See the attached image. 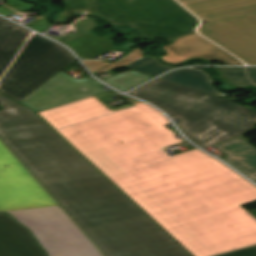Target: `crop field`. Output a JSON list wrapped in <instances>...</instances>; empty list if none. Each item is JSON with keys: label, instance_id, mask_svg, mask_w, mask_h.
I'll return each instance as SVG.
<instances>
[{"label": "crop field", "instance_id": "obj_20", "mask_svg": "<svg viewBox=\"0 0 256 256\" xmlns=\"http://www.w3.org/2000/svg\"><path fill=\"white\" fill-rule=\"evenodd\" d=\"M33 7L34 4L24 3L20 0H7L6 3L0 5V14L8 17L10 13L30 10Z\"/></svg>", "mask_w": 256, "mask_h": 256}, {"label": "crop field", "instance_id": "obj_19", "mask_svg": "<svg viewBox=\"0 0 256 256\" xmlns=\"http://www.w3.org/2000/svg\"><path fill=\"white\" fill-rule=\"evenodd\" d=\"M226 78L238 87L254 86L246 78L243 68L218 67Z\"/></svg>", "mask_w": 256, "mask_h": 256}, {"label": "crop field", "instance_id": "obj_5", "mask_svg": "<svg viewBox=\"0 0 256 256\" xmlns=\"http://www.w3.org/2000/svg\"><path fill=\"white\" fill-rule=\"evenodd\" d=\"M94 12L112 25L129 24L138 37H174L194 32L198 20L174 0H93Z\"/></svg>", "mask_w": 256, "mask_h": 256}, {"label": "crop field", "instance_id": "obj_2", "mask_svg": "<svg viewBox=\"0 0 256 256\" xmlns=\"http://www.w3.org/2000/svg\"><path fill=\"white\" fill-rule=\"evenodd\" d=\"M0 104V139L106 256H189L33 111Z\"/></svg>", "mask_w": 256, "mask_h": 256}, {"label": "crop field", "instance_id": "obj_6", "mask_svg": "<svg viewBox=\"0 0 256 256\" xmlns=\"http://www.w3.org/2000/svg\"><path fill=\"white\" fill-rule=\"evenodd\" d=\"M74 60L66 49L34 33L1 80L0 92L19 101Z\"/></svg>", "mask_w": 256, "mask_h": 256}, {"label": "crop field", "instance_id": "obj_12", "mask_svg": "<svg viewBox=\"0 0 256 256\" xmlns=\"http://www.w3.org/2000/svg\"><path fill=\"white\" fill-rule=\"evenodd\" d=\"M215 148L229 157L223 159L256 182V148L241 138L217 145Z\"/></svg>", "mask_w": 256, "mask_h": 256}, {"label": "crop field", "instance_id": "obj_10", "mask_svg": "<svg viewBox=\"0 0 256 256\" xmlns=\"http://www.w3.org/2000/svg\"><path fill=\"white\" fill-rule=\"evenodd\" d=\"M203 21L256 10V0H178Z\"/></svg>", "mask_w": 256, "mask_h": 256}, {"label": "crop field", "instance_id": "obj_27", "mask_svg": "<svg viewBox=\"0 0 256 256\" xmlns=\"http://www.w3.org/2000/svg\"><path fill=\"white\" fill-rule=\"evenodd\" d=\"M52 1H55V0H52Z\"/></svg>", "mask_w": 256, "mask_h": 256}, {"label": "crop field", "instance_id": "obj_1", "mask_svg": "<svg viewBox=\"0 0 256 256\" xmlns=\"http://www.w3.org/2000/svg\"><path fill=\"white\" fill-rule=\"evenodd\" d=\"M108 92L38 113L193 256H216L256 245V218L239 205L256 187L195 149L168 156L183 143L151 106L110 108Z\"/></svg>", "mask_w": 256, "mask_h": 256}, {"label": "crop field", "instance_id": "obj_18", "mask_svg": "<svg viewBox=\"0 0 256 256\" xmlns=\"http://www.w3.org/2000/svg\"><path fill=\"white\" fill-rule=\"evenodd\" d=\"M143 57L142 50L137 48L133 52H131L129 55H127L124 59L119 60L113 64L100 62V61H83L84 64L88 67V69L92 72L104 67L97 73H101L119 66L127 65L139 58Z\"/></svg>", "mask_w": 256, "mask_h": 256}, {"label": "crop field", "instance_id": "obj_8", "mask_svg": "<svg viewBox=\"0 0 256 256\" xmlns=\"http://www.w3.org/2000/svg\"><path fill=\"white\" fill-rule=\"evenodd\" d=\"M102 87L104 85L90 76L77 80L61 71L19 102L38 113L105 92Z\"/></svg>", "mask_w": 256, "mask_h": 256}, {"label": "crop field", "instance_id": "obj_26", "mask_svg": "<svg viewBox=\"0 0 256 256\" xmlns=\"http://www.w3.org/2000/svg\"><path fill=\"white\" fill-rule=\"evenodd\" d=\"M126 37H128V38H138V37H136L134 34H133V35H130V36H126Z\"/></svg>", "mask_w": 256, "mask_h": 256}, {"label": "crop field", "instance_id": "obj_17", "mask_svg": "<svg viewBox=\"0 0 256 256\" xmlns=\"http://www.w3.org/2000/svg\"><path fill=\"white\" fill-rule=\"evenodd\" d=\"M125 68L133 69L136 71H140L146 74H150L153 76H158L159 74L173 68L170 66H166L162 64L156 57L154 56H145Z\"/></svg>", "mask_w": 256, "mask_h": 256}, {"label": "crop field", "instance_id": "obj_13", "mask_svg": "<svg viewBox=\"0 0 256 256\" xmlns=\"http://www.w3.org/2000/svg\"><path fill=\"white\" fill-rule=\"evenodd\" d=\"M29 33L30 31L0 18V76Z\"/></svg>", "mask_w": 256, "mask_h": 256}, {"label": "crop field", "instance_id": "obj_24", "mask_svg": "<svg viewBox=\"0 0 256 256\" xmlns=\"http://www.w3.org/2000/svg\"><path fill=\"white\" fill-rule=\"evenodd\" d=\"M221 81L223 82V90H229V89H235L238 88L235 85H233L232 83H230L223 74L219 75Z\"/></svg>", "mask_w": 256, "mask_h": 256}, {"label": "crop field", "instance_id": "obj_15", "mask_svg": "<svg viewBox=\"0 0 256 256\" xmlns=\"http://www.w3.org/2000/svg\"><path fill=\"white\" fill-rule=\"evenodd\" d=\"M160 78L167 79L179 84H183L195 89H199L211 94L220 96L211 85L206 75L198 70H192L190 68H183L175 70Z\"/></svg>", "mask_w": 256, "mask_h": 256}, {"label": "crop field", "instance_id": "obj_23", "mask_svg": "<svg viewBox=\"0 0 256 256\" xmlns=\"http://www.w3.org/2000/svg\"><path fill=\"white\" fill-rule=\"evenodd\" d=\"M163 49L165 51H167L168 53H167V55H164L161 58L167 62L178 64V63H181L182 61L186 60L185 58H179V57L175 56L169 50H167L165 47Z\"/></svg>", "mask_w": 256, "mask_h": 256}, {"label": "crop field", "instance_id": "obj_16", "mask_svg": "<svg viewBox=\"0 0 256 256\" xmlns=\"http://www.w3.org/2000/svg\"><path fill=\"white\" fill-rule=\"evenodd\" d=\"M152 78L154 77L129 70L102 80L121 91H127Z\"/></svg>", "mask_w": 256, "mask_h": 256}, {"label": "crop field", "instance_id": "obj_7", "mask_svg": "<svg viewBox=\"0 0 256 256\" xmlns=\"http://www.w3.org/2000/svg\"><path fill=\"white\" fill-rule=\"evenodd\" d=\"M249 65H256V11L206 21L198 29Z\"/></svg>", "mask_w": 256, "mask_h": 256}, {"label": "crop field", "instance_id": "obj_9", "mask_svg": "<svg viewBox=\"0 0 256 256\" xmlns=\"http://www.w3.org/2000/svg\"><path fill=\"white\" fill-rule=\"evenodd\" d=\"M0 256H46L27 229L0 213Z\"/></svg>", "mask_w": 256, "mask_h": 256}, {"label": "crop field", "instance_id": "obj_11", "mask_svg": "<svg viewBox=\"0 0 256 256\" xmlns=\"http://www.w3.org/2000/svg\"><path fill=\"white\" fill-rule=\"evenodd\" d=\"M166 48L180 57H203L227 64H242L240 61L197 34L177 38L172 45L166 46Z\"/></svg>", "mask_w": 256, "mask_h": 256}, {"label": "crop field", "instance_id": "obj_14", "mask_svg": "<svg viewBox=\"0 0 256 256\" xmlns=\"http://www.w3.org/2000/svg\"><path fill=\"white\" fill-rule=\"evenodd\" d=\"M114 33L107 37H100L89 34L74 41H71L65 45L73 49L80 59H91L99 56L105 52L112 51V45L110 44Z\"/></svg>", "mask_w": 256, "mask_h": 256}, {"label": "crop field", "instance_id": "obj_3", "mask_svg": "<svg viewBox=\"0 0 256 256\" xmlns=\"http://www.w3.org/2000/svg\"><path fill=\"white\" fill-rule=\"evenodd\" d=\"M0 211L29 227L49 256H103L1 142Z\"/></svg>", "mask_w": 256, "mask_h": 256}, {"label": "crop field", "instance_id": "obj_21", "mask_svg": "<svg viewBox=\"0 0 256 256\" xmlns=\"http://www.w3.org/2000/svg\"><path fill=\"white\" fill-rule=\"evenodd\" d=\"M25 25L42 33L51 24L48 23L45 18H35V20H33Z\"/></svg>", "mask_w": 256, "mask_h": 256}, {"label": "crop field", "instance_id": "obj_25", "mask_svg": "<svg viewBox=\"0 0 256 256\" xmlns=\"http://www.w3.org/2000/svg\"><path fill=\"white\" fill-rule=\"evenodd\" d=\"M249 79L256 84V67H247Z\"/></svg>", "mask_w": 256, "mask_h": 256}, {"label": "crop field", "instance_id": "obj_22", "mask_svg": "<svg viewBox=\"0 0 256 256\" xmlns=\"http://www.w3.org/2000/svg\"><path fill=\"white\" fill-rule=\"evenodd\" d=\"M219 256H256V246L238 250L235 252L219 255Z\"/></svg>", "mask_w": 256, "mask_h": 256}, {"label": "crop field", "instance_id": "obj_4", "mask_svg": "<svg viewBox=\"0 0 256 256\" xmlns=\"http://www.w3.org/2000/svg\"><path fill=\"white\" fill-rule=\"evenodd\" d=\"M129 94L178 118L176 125L202 148L239 136L256 125V111L252 109L160 78Z\"/></svg>", "mask_w": 256, "mask_h": 256}]
</instances>
